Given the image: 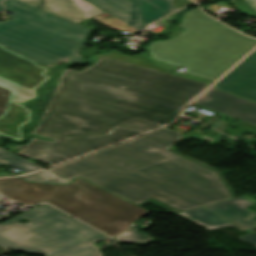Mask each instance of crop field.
I'll return each mask as SVG.
<instances>
[{
  "label": "crop field",
  "mask_w": 256,
  "mask_h": 256,
  "mask_svg": "<svg viewBox=\"0 0 256 256\" xmlns=\"http://www.w3.org/2000/svg\"><path fill=\"white\" fill-rule=\"evenodd\" d=\"M81 72L65 70L47 100L32 107L40 124L18 154L53 165L177 118L209 84L159 68L143 53L112 50ZM124 87L123 89L121 87Z\"/></svg>",
  "instance_id": "1"
},
{
  "label": "crop field",
  "mask_w": 256,
  "mask_h": 256,
  "mask_svg": "<svg viewBox=\"0 0 256 256\" xmlns=\"http://www.w3.org/2000/svg\"><path fill=\"white\" fill-rule=\"evenodd\" d=\"M180 135L163 128L48 170L173 214L235 197L219 171L169 149Z\"/></svg>",
  "instance_id": "2"
},
{
  "label": "crop field",
  "mask_w": 256,
  "mask_h": 256,
  "mask_svg": "<svg viewBox=\"0 0 256 256\" xmlns=\"http://www.w3.org/2000/svg\"><path fill=\"white\" fill-rule=\"evenodd\" d=\"M179 27L187 30L148 48L157 61L186 67L185 72L216 80L256 46L245 37L204 15L199 8L188 11Z\"/></svg>",
  "instance_id": "3"
},
{
  "label": "crop field",
  "mask_w": 256,
  "mask_h": 256,
  "mask_svg": "<svg viewBox=\"0 0 256 256\" xmlns=\"http://www.w3.org/2000/svg\"><path fill=\"white\" fill-rule=\"evenodd\" d=\"M0 193L27 205L47 201L109 236L131 228L129 224L148 213L81 178L59 186L0 179Z\"/></svg>",
  "instance_id": "4"
},
{
  "label": "crop field",
  "mask_w": 256,
  "mask_h": 256,
  "mask_svg": "<svg viewBox=\"0 0 256 256\" xmlns=\"http://www.w3.org/2000/svg\"><path fill=\"white\" fill-rule=\"evenodd\" d=\"M13 19L0 22V44L37 63L83 62L77 53L91 30L18 0L4 2Z\"/></svg>",
  "instance_id": "5"
},
{
  "label": "crop field",
  "mask_w": 256,
  "mask_h": 256,
  "mask_svg": "<svg viewBox=\"0 0 256 256\" xmlns=\"http://www.w3.org/2000/svg\"><path fill=\"white\" fill-rule=\"evenodd\" d=\"M23 217L29 222L16 223ZM106 238L48 204L0 224V244L14 251L46 256H104L92 244Z\"/></svg>",
  "instance_id": "6"
},
{
  "label": "crop field",
  "mask_w": 256,
  "mask_h": 256,
  "mask_svg": "<svg viewBox=\"0 0 256 256\" xmlns=\"http://www.w3.org/2000/svg\"><path fill=\"white\" fill-rule=\"evenodd\" d=\"M5 48L0 45V135L19 141L30 111L17 103L35 98L36 88L50 77L46 68Z\"/></svg>",
  "instance_id": "7"
},
{
  "label": "crop field",
  "mask_w": 256,
  "mask_h": 256,
  "mask_svg": "<svg viewBox=\"0 0 256 256\" xmlns=\"http://www.w3.org/2000/svg\"><path fill=\"white\" fill-rule=\"evenodd\" d=\"M139 31L168 15L145 0H87Z\"/></svg>",
  "instance_id": "8"
},
{
  "label": "crop field",
  "mask_w": 256,
  "mask_h": 256,
  "mask_svg": "<svg viewBox=\"0 0 256 256\" xmlns=\"http://www.w3.org/2000/svg\"><path fill=\"white\" fill-rule=\"evenodd\" d=\"M195 104L256 125V104L211 88Z\"/></svg>",
  "instance_id": "9"
},
{
  "label": "crop field",
  "mask_w": 256,
  "mask_h": 256,
  "mask_svg": "<svg viewBox=\"0 0 256 256\" xmlns=\"http://www.w3.org/2000/svg\"><path fill=\"white\" fill-rule=\"evenodd\" d=\"M215 87L256 101V50Z\"/></svg>",
  "instance_id": "10"
},
{
  "label": "crop field",
  "mask_w": 256,
  "mask_h": 256,
  "mask_svg": "<svg viewBox=\"0 0 256 256\" xmlns=\"http://www.w3.org/2000/svg\"><path fill=\"white\" fill-rule=\"evenodd\" d=\"M37 8L69 19L75 23L104 11L85 0H21Z\"/></svg>",
  "instance_id": "11"
},
{
  "label": "crop field",
  "mask_w": 256,
  "mask_h": 256,
  "mask_svg": "<svg viewBox=\"0 0 256 256\" xmlns=\"http://www.w3.org/2000/svg\"><path fill=\"white\" fill-rule=\"evenodd\" d=\"M254 203L255 199L244 196L205 207L252 230L256 227V213L245 207Z\"/></svg>",
  "instance_id": "12"
},
{
  "label": "crop field",
  "mask_w": 256,
  "mask_h": 256,
  "mask_svg": "<svg viewBox=\"0 0 256 256\" xmlns=\"http://www.w3.org/2000/svg\"><path fill=\"white\" fill-rule=\"evenodd\" d=\"M206 230L219 229L223 227H236L242 231L247 229L201 207L180 214H176Z\"/></svg>",
  "instance_id": "13"
},
{
  "label": "crop field",
  "mask_w": 256,
  "mask_h": 256,
  "mask_svg": "<svg viewBox=\"0 0 256 256\" xmlns=\"http://www.w3.org/2000/svg\"><path fill=\"white\" fill-rule=\"evenodd\" d=\"M4 164L17 168L25 173L41 169V167L0 148V166Z\"/></svg>",
  "instance_id": "14"
},
{
  "label": "crop field",
  "mask_w": 256,
  "mask_h": 256,
  "mask_svg": "<svg viewBox=\"0 0 256 256\" xmlns=\"http://www.w3.org/2000/svg\"><path fill=\"white\" fill-rule=\"evenodd\" d=\"M116 242L119 243H130V244H139V245H145L149 244L153 238L133 229L129 230L117 237H114Z\"/></svg>",
  "instance_id": "15"
},
{
  "label": "crop field",
  "mask_w": 256,
  "mask_h": 256,
  "mask_svg": "<svg viewBox=\"0 0 256 256\" xmlns=\"http://www.w3.org/2000/svg\"><path fill=\"white\" fill-rule=\"evenodd\" d=\"M92 19L113 29V30L127 29V30H129L130 33L138 32L134 28L123 23L122 21L118 20L117 18L113 17L112 15H110L108 13H104V14L94 17Z\"/></svg>",
  "instance_id": "16"
},
{
  "label": "crop field",
  "mask_w": 256,
  "mask_h": 256,
  "mask_svg": "<svg viewBox=\"0 0 256 256\" xmlns=\"http://www.w3.org/2000/svg\"><path fill=\"white\" fill-rule=\"evenodd\" d=\"M30 182H43V183H53V184H62V183H70L69 181L45 170L40 173L21 177Z\"/></svg>",
  "instance_id": "17"
},
{
  "label": "crop field",
  "mask_w": 256,
  "mask_h": 256,
  "mask_svg": "<svg viewBox=\"0 0 256 256\" xmlns=\"http://www.w3.org/2000/svg\"><path fill=\"white\" fill-rule=\"evenodd\" d=\"M146 1L150 2L151 4L157 6L158 8L162 9L163 11H165L169 14L192 3L189 0H184L186 2H183L181 0H146ZM179 1L183 2L184 4L181 5L180 3H178ZM171 2H173L175 4L172 5V4H170Z\"/></svg>",
  "instance_id": "18"
},
{
  "label": "crop field",
  "mask_w": 256,
  "mask_h": 256,
  "mask_svg": "<svg viewBox=\"0 0 256 256\" xmlns=\"http://www.w3.org/2000/svg\"><path fill=\"white\" fill-rule=\"evenodd\" d=\"M228 3L235 6L239 12L256 17V0H232Z\"/></svg>",
  "instance_id": "19"
},
{
  "label": "crop field",
  "mask_w": 256,
  "mask_h": 256,
  "mask_svg": "<svg viewBox=\"0 0 256 256\" xmlns=\"http://www.w3.org/2000/svg\"><path fill=\"white\" fill-rule=\"evenodd\" d=\"M229 123L233 124V125H235L237 127H240L242 129H245V130H247L249 132H252V133L256 134V126H253L251 124L245 123L243 121H240V122H237V123L229 121Z\"/></svg>",
  "instance_id": "20"
},
{
  "label": "crop field",
  "mask_w": 256,
  "mask_h": 256,
  "mask_svg": "<svg viewBox=\"0 0 256 256\" xmlns=\"http://www.w3.org/2000/svg\"><path fill=\"white\" fill-rule=\"evenodd\" d=\"M222 7L228 9L231 6H229V5H227V4L223 3V2H219V3H215V4L211 5V6H206L204 8L207 9L208 11H210V12L215 13L216 10H218V9H220Z\"/></svg>",
  "instance_id": "21"
},
{
  "label": "crop field",
  "mask_w": 256,
  "mask_h": 256,
  "mask_svg": "<svg viewBox=\"0 0 256 256\" xmlns=\"http://www.w3.org/2000/svg\"><path fill=\"white\" fill-rule=\"evenodd\" d=\"M236 238L256 246V234L255 233L236 237Z\"/></svg>",
  "instance_id": "22"
},
{
  "label": "crop field",
  "mask_w": 256,
  "mask_h": 256,
  "mask_svg": "<svg viewBox=\"0 0 256 256\" xmlns=\"http://www.w3.org/2000/svg\"><path fill=\"white\" fill-rule=\"evenodd\" d=\"M182 74H180V76L188 77V78L199 80V81H202V82H206V83H210V84H212L214 82V81L202 79V78H199V77H195V76H192V75H189V74H185V75H182Z\"/></svg>",
  "instance_id": "23"
},
{
  "label": "crop field",
  "mask_w": 256,
  "mask_h": 256,
  "mask_svg": "<svg viewBox=\"0 0 256 256\" xmlns=\"http://www.w3.org/2000/svg\"><path fill=\"white\" fill-rule=\"evenodd\" d=\"M7 252H8V251H7L4 247H2V246L0 245V256L6 255Z\"/></svg>",
  "instance_id": "24"
},
{
  "label": "crop field",
  "mask_w": 256,
  "mask_h": 256,
  "mask_svg": "<svg viewBox=\"0 0 256 256\" xmlns=\"http://www.w3.org/2000/svg\"><path fill=\"white\" fill-rule=\"evenodd\" d=\"M3 11V9H2V6H1V3H0V13Z\"/></svg>",
  "instance_id": "25"
}]
</instances>
